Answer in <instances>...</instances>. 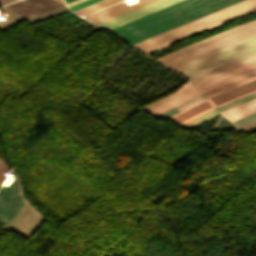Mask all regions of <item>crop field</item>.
Listing matches in <instances>:
<instances>
[{"label":"crop field","mask_w":256,"mask_h":256,"mask_svg":"<svg viewBox=\"0 0 256 256\" xmlns=\"http://www.w3.org/2000/svg\"><path fill=\"white\" fill-rule=\"evenodd\" d=\"M11 2H13V1H16V0H10Z\"/></svg>","instance_id":"d3111659"},{"label":"crop field","mask_w":256,"mask_h":256,"mask_svg":"<svg viewBox=\"0 0 256 256\" xmlns=\"http://www.w3.org/2000/svg\"><path fill=\"white\" fill-rule=\"evenodd\" d=\"M43 220L44 217L27 202L6 228L28 239Z\"/></svg>","instance_id":"dd49c442"},{"label":"crop field","mask_w":256,"mask_h":256,"mask_svg":"<svg viewBox=\"0 0 256 256\" xmlns=\"http://www.w3.org/2000/svg\"><path fill=\"white\" fill-rule=\"evenodd\" d=\"M1 161V160H0Z\"/></svg>","instance_id":"750c4746"},{"label":"crop field","mask_w":256,"mask_h":256,"mask_svg":"<svg viewBox=\"0 0 256 256\" xmlns=\"http://www.w3.org/2000/svg\"><path fill=\"white\" fill-rule=\"evenodd\" d=\"M256 91V80L208 98L214 107Z\"/></svg>","instance_id":"d1516ede"},{"label":"crop field","mask_w":256,"mask_h":256,"mask_svg":"<svg viewBox=\"0 0 256 256\" xmlns=\"http://www.w3.org/2000/svg\"><path fill=\"white\" fill-rule=\"evenodd\" d=\"M216 113H218V112L213 108V109H211V110H209V111H207V112H205V113H203V114H201V115H199V116H197V117H195V118H193V119H191V120H189V121H187V122H185L181 125L188 128V127H190V126H192V125H194V124H196V123H198V122H200V121H202V120H204V119H206V118H208V117H210V116H212Z\"/></svg>","instance_id":"bc2a9ffb"},{"label":"crop field","mask_w":256,"mask_h":256,"mask_svg":"<svg viewBox=\"0 0 256 256\" xmlns=\"http://www.w3.org/2000/svg\"><path fill=\"white\" fill-rule=\"evenodd\" d=\"M255 59H256V56L253 57V58H250V59H248V60L242 61V62H240V63H237V64H235V65H232V66H230V67H227V68H225V69H222V70H220V71H217V72H215V73H212V74H210V75H207V76H204V77L199 78V79H197V80H194V81H192V83L195 84V83H197V82H200V81L205 80V79H207V78L213 77V76H215V75H218V74H220V73H223V72H225V71H228V70H230V69H233V68H235V67H238V66H240V65H243V64L248 63V62H250V61H253V60H255Z\"/></svg>","instance_id":"214f88e0"},{"label":"crop field","mask_w":256,"mask_h":256,"mask_svg":"<svg viewBox=\"0 0 256 256\" xmlns=\"http://www.w3.org/2000/svg\"><path fill=\"white\" fill-rule=\"evenodd\" d=\"M118 1H120V0H104V1L98 2L96 4H93L91 6H88L86 8H83L81 10H78V11H76L74 13H77L79 15H86L88 13H91L93 11H96L98 9L106 7V6L110 5V4H113V3L118 2ZM139 1L140 2H138L136 4H133V5L129 6V7H127L124 2H120L118 4L110 6L108 8L103 9V10H100L98 12L90 14V15L86 16V19H88V20L98 24L100 22H103L105 20H108L110 18L118 16L120 14H123V13L128 12L130 10H133L135 8H138L140 6H143L145 4L153 2L155 0H139Z\"/></svg>","instance_id":"412701ff"},{"label":"crop field","mask_w":256,"mask_h":256,"mask_svg":"<svg viewBox=\"0 0 256 256\" xmlns=\"http://www.w3.org/2000/svg\"><path fill=\"white\" fill-rule=\"evenodd\" d=\"M254 71H256V61H253L241 67H238L236 69H233L221 75H218L214 78H211L199 84H195V86L198 88V90L201 93H203L209 89H212L214 87L227 83L229 81H232L234 79H237L239 77L252 73Z\"/></svg>","instance_id":"3316defc"},{"label":"crop field","mask_w":256,"mask_h":256,"mask_svg":"<svg viewBox=\"0 0 256 256\" xmlns=\"http://www.w3.org/2000/svg\"><path fill=\"white\" fill-rule=\"evenodd\" d=\"M255 55H256V53H253V54H251V55L245 56V57L240 58V59H238V60H235V61H233V62L227 63V64L222 65V66H220V67H217V68H215V69H212V70H209V71L204 72V73H202V74H199V75H197V76L191 77V78H189V80L192 81V80H194V79H197V78L202 77V76H204V75L210 74V73H212V72H215V71H217V70H220V69H222V68H225V67H227V66H230V65H232V64H235V63L240 62V61H242V60L248 59V58L253 57V56H255Z\"/></svg>","instance_id":"92a150f3"},{"label":"crop field","mask_w":256,"mask_h":256,"mask_svg":"<svg viewBox=\"0 0 256 256\" xmlns=\"http://www.w3.org/2000/svg\"><path fill=\"white\" fill-rule=\"evenodd\" d=\"M256 34V21L225 30L208 39L192 44L156 59L170 69L222 47L228 46Z\"/></svg>","instance_id":"34b2d1b8"},{"label":"crop field","mask_w":256,"mask_h":256,"mask_svg":"<svg viewBox=\"0 0 256 256\" xmlns=\"http://www.w3.org/2000/svg\"><path fill=\"white\" fill-rule=\"evenodd\" d=\"M240 1L183 0L110 30L133 44Z\"/></svg>","instance_id":"8a807250"},{"label":"crop field","mask_w":256,"mask_h":256,"mask_svg":"<svg viewBox=\"0 0 256 256\" xmlns=\"http://www.w3.org/2000/svg\"><path fill=\"white\" fill-rule=\"evenodd\" d=\"M66 1V3H68V2H70V1H72V0H65Z\"/></svg>","instance_id":"ae1a2a85"},{"label":"crop field","mask_w":256,"mask_h":256,"mask_svg":"<svg viewBox=\"0 0 256 256\" xmlns=\"http://www.w3.org/2000/svg\"><path fill=\"white\" fill-rule=\"evenodd\" d=\"M61 5H64L63 0H22L5 8L28 18Z\"/></svg>","instance_id":"5a996713"},{"label":"crop field","mask_w":256,"mask_h":256,"mask_svg":"<svg viewBox=\"0 0 256 256\" xmlns=\"http://www.w3.org/2000/svg\"><path fill=\"white\" fill-rule=\"evenodd\" d=\"M253 52H256V45H253V46H251V47H248V48H246V49H243V50H241V51H238V52H236V53H233V54H231V55H228V56H226V57H223V58H221V59H218V60H216V61H213V62H211V63H208V64L203 65V66H201V67H198V68H196V69H193V70L188 71V72H186V73H183V74H181V75H183V76L189 78V77H191V76H194V75H196V74L202 73V72H204V71H207V70L212 69V68H214V67L220 66V65H222V64H225V63L230 62V61H232V60L238 59V58H240V57H243V56L248 55V54L253 53Z\"/></svg>","instance_id":"22f410ed"},{"label":"crop field","mask_w":256,"mask_h":256,"mask_svg":"<svg viewBox=\"0 0 256 256\" xmlns=\"http://www.w3.org/2000/svg\"><path fill=\"white\" fill-rule=\"evenodd\" d=\"M254 127H256V120H255V121H252V122H250V123H247V124H245V125L240 126V128L243 129V130H245V131H247V130H249V129H252V128H254Z\"/></svg>","instance_id":"4177f3b9"},{"label":"crop field","mask_w":256,"mask_h":256,"mask_svg":"<svg viewBox=\"0 0 256 256\" xmlns=\"http://www.w3.org/2000/svg\"><path fill=\"white\" fill-rule=\"evenodd\" d=\"M202 100H204V98L200 94V95H198V96H196V97H194V98H192V99H190V100H188V101H186V102L176 106V108L180 112V111H182V110H184V109H186V108H188V107H190V106H192V105H194V104H196V103H198V102H200Z\"/></svg>","instance_id":"dafd665d"},{"label":"crop field","mask_w":256,"mask_h":256,"mask_svg":"<svg viewBox=\"0 0 256 256\" xmlns=\"http://www.w3.org/2000/svg\"><path fill=\"white\" fill-rule=\"evenodd\" d=\"M251 12H256V0H245L133 45L148 55L176 41Z\"/></svg>","instance_id":"ac0d7876"},{"label":"crop field","mask_w":256,"mask_h":256,"mask_svg":"<svg viewBox=\"0 0 256 256\" xmlns=\"http://www.w3.org/2000/svg\"><path fill=\"white\" fill-rule=\"evenodd\" d=\"M82 1H85V0H75V1H73V2L68 3L67 5H68V7H70V6H72V5H75V4H77V3H80V2H82Z\"/></svg>","instance_id":"730fd06b"},{"label":"crop field","mask_w":256,"mask_h":256,"mask_svg":"<svg viewBox=\"0 0 256 256\" xmlns=\"http://www.w3.org/2000/svg\"><path fill=\"white\" fill-rule=\"evenodd\" d=\"M26 202L21 196L17 176L8 187L2 186L0 188V221L5 227Z\"/></svg>","instance_id":"f4fd0767"},{"label":"crop field","mask_w":256,"mask_h":256,"mask_svg":"<svg viewBox=\"0 0 256 256\" xmlns=\"http://www.w3.org/2000/svg\"><path fill=\"white\" fill-rule=\"evenodd\" d=\"M10 3L9 0H0V6Z\"/></svg>","instance_id":"eef30255"},{"label":"crop field","mask_w":256,"mask_h":256,"mask_svg":"<svg viewBox=\"0 0 256 256\" xmlns=\"http://www.w3.org/2000/svg\"><path fill=\"white\" fill-rule=\"evenodd\" d=\"M64 9H67V6H66V5L61 6V7H59V8H56V9H53V10H50V11H47V12L42 13V14L33 16V17H31V18H28V21L31 22V21H34V20H36V19H39V18L48 16V15H50V14H53V13L62 11V10H64Z\"/></svg>","instance_id":"00972430"},{"label":"crop field","mask_w":256,"mask_h":256,"mask_svg":"<svg viewBox=\"0 0 256 256\" xmlns=\"http://www.w3.org/2000/svg\"><path fill=\"white\" fill-rule=\"evenodd\" d=\"M255 97H256V92L251 93V94H249V95H246V96H244V97H241V98H239V99H236V100H234V101L228 102V103L223 104V105H221V106H218V107H216V109H217L218 111H222V110H224V109H227V108H229V107L235 106V105H237V104H240V103H242V102H245V101L250 100V99L255 98Z\"/></svg>","instance_id":"733c2abd"},{"label":"crop field","mask_w":256,"mask_h":256,"mask_svg":"<svg viewBox=\"0 0 256 256\" xmlns=\"http://www.w3.org/2000/svg\"><path fill=\"white\" fill-rule=\"evenodd\" d=\"M178 1H180V0H158V1H155L148 5H145L143 7H140L138 9H135L133 11H130L128 13H125L123 15H120L118 17H115L113 19H110L108 21H105L103 23H100L98 25H101L103 27L110 29L112 27H115L117 25H120L122 23L130 21V20L140 17L142 15L148 14L150 12H153L155 10H158L160 8H163L165 6H168V5L178 2Z\"/></svg>","instance_id":"28ad6ade"},{"label":"crop field","mask_w":256,"mask_h":256,"mask_svg":"<svg viewBox=\"0 0 256 256\" xmlns=\"http://www.w3.org/2000/svg\"><path fill=\"white\" fill-rule=\"evenodd\" d=\"M210 108H212V105L205 100V101H203V102H201V103H199L181 113H178L168 119L180 124V123H182V122H184V121H186V120H188V119H190V118H192Z\"/></svg>","instance_id":"cbeb9de0"},{"label":"crop field","mask_w":256,"mask_h":256,"mask_svg":"<svg viewBox=\"0 0 256 256\" xmlns=\"http://www.w3.org/2000/svg\"><path fill=\"white\" fill-rule=\"evenodd\" d=\"M97 1H99V0H87V1H85V2H82V3H80V4H77V5H75V6H72V7H70L69 9H70L71 11H74V10H76V9H79V8H81V7H84V6H86V5H89V4L94 3V2H97Z\"/></svg>","instance_id":"a9b5d70f"},{"label":"crop field","mask_w":256,"mask_h":256,"mask_svg":"<svg viewBox=\"0 0 256 256\" xmlns=\"http://www.w3.org/2000/svg\"><path fill=\"white\" fill-rule=\"evenodd\" d=\"M3 8V7H2ZM0 9V10H2V11H4L5 13H7L8 14V20L7 21H1L0 20V29L1 30H3V29H5V28H7V27H9V26H11V25H13V24H15V23H17V22H19V21H22V20H24V19H22V18H20V17H18V16H16V15H14V14H12V13H10V12H8V11H6V10H4V9Z\"/></svg>","instance_id":"4a817a6b"},{"label":"crop field","mask_w":256,"mask_h":256,"mask_svg":"<svg viewBox=\"0 0 256 256\" xmlns=\"http://www.w3.org/2000/svg\"><path fill=\"white\" fill-rule=\"evenodd\" d=\"M254 79H256V73H253V74H251V75H248V76H246V77H243V78L238 79V80H236V81H233V82H231V83L225 84V85H223V86H220V87H218V88H215V89H213V90H210V91H208V92H205V93H203V95H204L206 98H208V97H210V96H213V95L218 94V93H220V92L226 91V90H228V89H231V88H233V87H236V86H238V85H241V84H243V83H246V82L251 81V80H254Z\"/></svg>","instance_id":"d9b57169"},{"label":"crop field","mask_w":256,"mask_h":256,"mask_svg":"<svg viewBox=\"0 0 256 256\" xmlns=\"http://www.w3.org/2000/svg\"><path fill=\"white\" fill-rule=\"evenodd\" d=\"M197 94H199V92L188 81H186L171 95H168L163 99L153 102L141 109H144L156 116Z\"/></svg>","instance_id":"e52e79f7"},{"label":"crop field","mask_w":256,"mask_h":256,"mask_svg":"<svg viewBox=\"0 0 256 256\" xmlns=\"http://www.w3.org/2000/svg\"><path fill=\"white\" fill-rule=\"evenodd\" d=\"M253 44H256V35L253 37H250L248 39H245L243 41H240L238 43H235L233 45H230L228 47L222 48L220 50H217L215 52H212L210 54H207L205 56H202L200 58H197L195 60H192L190 62H187L185 64H182L180 66H177L175 68H172L170 70L175 71L179 74L186 72L188 70H191L193 68H196L198 66H201L203 64H206L208 62H211L213 60H216L218 58H221L223 56H226L228 54H231L233 52H236L238 50H241L243 48H246L248 46H251Z\"/></svg>","instance_id":"d8731c3e"},{"label":"crop field","mask_w":256,"mask_h":256,"mask_svg":"<svg viewBox=\"0 0 256 256\" xmlns=\"http://www.w3.org/2000/svg\"><path fill=\"white\" fill-rule=\"evenodd\" d=\"M254 112H256V100H253L241 106L225 111L222 114L225 115L228 119L234 121L236 119L242 118Z\"/></svg>","instance_id":"5142ce71"}]
</instances>
